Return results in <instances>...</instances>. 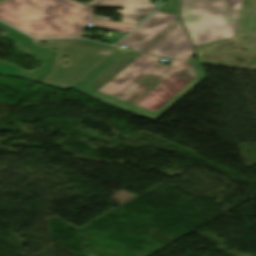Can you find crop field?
I'll return each mask as SVG.
<instances>
[{
  "label": "crop field",
  "instance_id": "obj_1",
  "mask_svg": "<svg viewBox=\"0 0 256 256\" xmlns=\"http://www.w3.org/2000/svg\"><path fill=\"white\" fill-rule=\"evenodd\" d=\"M178 16L156 12L120 44L133 50L174 59L167 66L160 57L131 51L87 88L156 112L190 84L196 73L185 62L195 52Z\"/></svg>",
  "mask_w": 256,
  "mask_h": 256
},
{
  "label": "crop field",
  "instance_id": "obj_2",
  "mask_svg": "<svg viewBox=\"0 0 256 256\" xmlns=\"http://www.w3.org/2000/svg\"><path fill=\"white\" fill-rule=\"evenodd\" d=\"M94 9L72 0H5L0 19L36 38L81 37L87 22L95 28L129 33L137 25L92 19Z\"/></svg>",
  "mask_w": 256,
  "mask_h": 256
},
{
  "label": "crop field",
  "instance_id": "obj_3",
  "mask_svg": "<svg viewBox=\"0 0 256 256\" xmlns=\"http://www.w3.org/2000/svg\"><path fill=\"white\" fill-rule=\"evenodd\" d=\"M181 17L194 46L256 35V0H182Z\"/></svg>",
  "mask_w": 256,
  "mask_h": 256
},
{
  "label": "crop field",
  "instance_id": "obj_4",
  "mask_svg": "<svg viewBox=\"0 0 256 256\" xmlns=\"http://www.w3.org/2000/svg\"><path fill=\"white\" fill-rule=\"evenodd\" d=\"M47 46L58 48L53 71L46 77L45 84L68 89L91 68L106 57L98 53L102 50L113 51L115 47L81 39L49 40ZM62 55L71 65L62 67Z\"/></svg>",
  "mask_w": 256,
  "mask_h": 256
},
{
  "label": "crop field",
  "instance_id": "obj_5",
  "mask_svg": "<svg viewBox=\"0 0 256 256\" xmlns=\"http://www.w3.org/2000/svg\"><path fill=\"white\" fill-rule=\"evenodd\" d=\"M0 28L8 32L5 37L15 42L19 51L28 54L43 63L42 69L40 70L24 72L20 67L0 62V74L11 75L43 83L45 77L52 71L56 52L50 51V48L46 47V43H39L38 46H35V40L5 26L2 23H0ZM41 45H44L45 48H41ZM26 50L29 52L26 53Z\"/></svg>",
  "mask_w": 256,
  "mask_h": 256
},
{
  "label": "crop field",
  "instance_id": "obj_6",
  "mask_svg": "<svg viewBox=\"0 0 256 256\" xmlns=\"http://www.w3.org/2000/svg\"><path fill=\"white\" fill-rule=\"evenodd\" d=\"M151 0H93L88 6L125 7L124 10H117L122 14L121 21L139 24L157 7V4L150 3Z\"/></svg>",
  "mask_w": 256,
  "mask_h": 256
},
{
  "label": "crop field",
  "instance_id": "obj_7",
  "mask_svg": "<svg viewBox=\"0 0 256 256\" xmlns=\"http://www.w3.org/2000/svg\"><path fill=\"white\" fill-rule=\"evenodd\" d=\"M82 35H83V36H87V37H91V38L96 37L95 35H93V33H91V32H86V31H84Z\"/></svg>",
  "mask_w": 256,
  "mask_h": 256
},
{
  "label": "crop field",
  "instance_id": "obj_8",
  "mask_svg": "<svg viewBox=\"0 0 256 256\" xmlns=\"http://www.w3.org/2000/svg\"><path fill=\"white\" fill-rule=\"evenodd\" d=\"M93 18L113 20V18H109V17H99V16H94Z\"/></svg>",
  "mask_w": 256,
  "mask_h": 256
}]
</instances>
